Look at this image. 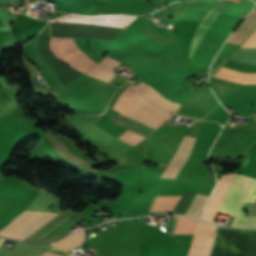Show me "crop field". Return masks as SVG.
Segmentation results:
<instances>
[{
  "mask_svg": "<svg viewBox=\"0 0 256 256\" xmlns=\"http://www.w3.org/2000/svg\"><path fill=\"white\" fill-rule=\"evenodd\" d=\"M235 176L226 174L219 179L201 219L213 223L212 217L217 214ZM255 199L256 179L238 174L219 213L235 216L231 224L233 226L256 228V216L243 217L244 202H254Z\"/></svg>",
  "mask_w": 256,
  "mask_h": 256,
  "instance_id": "8a807250",
  "label": "crop field"
},
{
  "mask_svg": "<svg viewBox=\"0 0 256 256\" xmlns=\"http://www.w3.org/2000/svg\"><path fill=\"white\" fill-rule=\"evenodd\" d=\"M240 21L237 16L210 10L193 37L189 63L208 70L212 58Z\"/></svg>",
  "mask_w": 256,
  "mask_h": 256,
  "instance_id": "ac0d7876",
  "label": "crop field"
},
{
  "mask_svg": "<svg viewBox=\"0 0 256 256\" xmlns=\"http://www.w3.org/2000/svg\"><path fill=\"white\" fill-rule=\"evenodd\" d=\"M137 16L108 15L88 17L83 15H68L51 21L57 24H73L103 27L126 28ZM50 24L52 37H87L95 39L116 40L125 29L103 28L73 25Z\"/></svg>",
  "mask_w": 256,
  "mask_h": 256,
  "instance_id": "34b2d1b8",
  "label": "crop field"
},
{
  "mask_svg": "<svg viewBox=\"0 0 256 256\" xmlns=\"http://www.w3.org/2000/svg\"><path fill=\"white\" fill-rule=\"evenodd\" d=\"M136 96L133 98V100L136 98ZM133 100L131 101V103L133 102ZM130 104L128 105V107L130 106ZM125 115L143 124H146L154 129H156L162 122H164L166 119H168L171 116L170 114L162 112L156 109L155 107L151 106L146 101H144L140 96H138L135 99V101L126 111ZM125 118L126 116L124 115L116 114V115H112L110 120L121 124ZM93 124L99 126L100 128L104 129L105 131L111 133L116 137L127 129L103 117H101L97 122ZM118 138L134 146L135 144L139 143L142 139H144L145 136L137 134L130 130H127L123 134H121Z\"/></svg>",
  "mask_w": 256,
  "mask_h": 256,
  "instance_id": "412701ff",
  "label": "crop field"
},
{
  "mask_svg": "<svg viewBox=\"0 0 256 256\" xmlns=\"http://www.w3.org/2000/svg\"><path fill=\"white\" fill-rule=\"evenodd\" d=\"M49 36L50 30L49 25H47L36 38L34 47L38 57L55 73L60 83L66 89L83 73L67 67L53 57L47 46Z\"/></svg>",
  "mask_w": 256,
  "mask_h": 256,
  "instance_id": "f4fd0767",
  "label": "crop field"
},
{
  "mask_svg": "<svg viewBox=\"0 0 256 256\" xmlns=\"http://www.w3.org/2000/svg\"><path fill=\"white\" fill-rule=\"evenodd\" d=\"M50 49L64 63L84 73L97 65L96 62L80 51L73 38H51Z\"/></svg>",
  "mask_w": 256,
  "mask_h": 256,
  "instance_id": "dd49c442",
  "label": "crop field"
},
{
  "mask_svg": "<svg viewBox=\"0 0 256 256\" xmlns=\"http://www.w3.org/2000/svg\"><path fill=\"white\" fill-rule=\"evenodd\" d=\"M36 214V212L25 211L19 217L16 218L14 222H12L9 226H7L0 234L11 237L15 234L20 228H22L28 221H30ZM57 214H49V213H40L36 216L31 222H29L23 229H21L14 238L25 239L51 218H53Z\"/></svg>",
  "mask_w": 256,
  "mask_h": 256,
  "instance_id": "e52e79f7",
  "label": "crop field"
},
{
  "mask_svg": "<svg viewBox=\"0 0 256 256\" xmlns=\"http://www.w3.org/2000/svg\"><path fill=\"white\" fill-rule=\"evenodd\" d=\"M215 225L198 222L188 256H208L213 242Z\"/></svg>",
  "mask_w": 256,
  "mask_h": 256,
  "instance_id": "d8731c3e",
  "label": "crop field"
},
{
  "mask_svg": "<svg viewBox=\"0 0 256 256\" xmlns=\"http://www.w3.org/2000/svg\"><path fill=\"white\" fill-rule=\"evenodd\" d=\"M184 137V136H183ZM183 139V138H182ZM182 141V140H181ZM195 138L185 136L178 151L174 155L170 163H168L163 175L160 178H175L179 170L188 160L193 148Z\"/></svg>",
  "mask_w": 256,
  "mask_h": 256,
  "instance_id": "5a996713",
  "label": "crop field"
},
{
  "mask_svg": "<svg viewBox=\"0 0 256 256\" xmlns=\"http://www.w3.org/2000/svg\"><path fill=\"white\" fill-rule=\"evenodd\" d=\"M143 83V82H141ZM145 84V83H143ZM148 88H150L153 92H155L157 95H159L160 97H162L163 99L172 102L174 104H177L179 106H181V104L174 102L168 98H166L165 96L161 95L160 93L156 92L153 88H151L149 85L145 84ZM146 86L142 85V84H137L135 87V89L137 90V92L140 94V96L145 99L146 101H148L149 103L163 109L166 111H169L171 113H174L176 111V109L179 107L177 105H174L172 103H169L165 100H163L162 98H160L159 96H157L155 93H153L150 89H148ZM179 109V108H178ZM177 109V110H178Z\"/></svg>",
  "mask_w": 256,
  "mask_h": 256,
  "instance_id": "3316defc",
  "label": "crop field"
},
{
  "mask_svg": "<svg viewBox=\"0 0 256 256\" xmlns=\"http://www.w3.org/2000/svg\"><path fill=\"white\" fill-rule=\"evenodd\" d=\"M255 3L251 0H218L213 10L244 17Z\"/></svg>",
  "mask_w": 256,
  "mask_h": 256,
  "instance_id": "28ad6ade",
  "label": "crop field"
},
{
  "mask_svg": "<svg viewBox=\"0 0 256 256\" xmlns=\"http://www.w3.org/2000/svg\"><path fill=\"white\" fill-rule=\"evenodd\" d=\"M214 77L230 80L240 84H256V74H248L222 67Z\"/></svg>",
  "mask_w": 256,
  "mask_h": 256,
  "instance_id": "d1516ede",
  "label": "crop field"
},
{
  "mask_svg": "<svg viewBox=\"0 0 256 256\" xmlns=\"http://www.w3.org/2000/svg\"><path fill=\"white\" fill-rule=\"evenodd\" d=\"M119 64L120 62L105 56L103 61L95 66L93 69H91L89 72H87V74L109 82L114 76V73L111 71Z\"/></svg>",
  "mask_w": 256,
  "mask_h": 256,
  "instance_id": "22f410ed",
  "label": "crop field"
},
{
  "mask_svg": "<svg viewBox=\"0 0 256 256\" xmlns=\"http://www.w3.org/2000/svg\"><path fill=\"white\" fill-rule=\"evenodd\" d=\"M256 28V8L249 14L242 25L237 29L236 34L231 38L229 43L241 45L243 41L251 34Z\"/></svg>",
  "mask_w": 256,
  "mask_h": 256,
  "instance_id": "cbeb9de0",
  "label": "crop field"
},
{
  "mask_svg": "<svg viewBox=\"0 0 256 256\" xmlns=\"http://www.w3.org/2000/svg\"><path fill=\"white\" fill-rule=\"evenodd\" d=\"M196 222V220L174 216L170 234H193Z\"/></svg>",
  "mask_w": 256,
  "mask_h": 256,
  "instance_id": "5142ce71",
  "label": "crop field"
},
{
  "mask_svg": "<svg viewBox=\"0 0 256 256\" xmlns=\"http://www.w3.org/2000/svg\"><path fill=\"white\" fill-rule=\"evenodd\" d=\"M84 239V232L79 231L69 234L65 238L53 243L55 249H60L63 251H68L82 243Z\"/></svg>",
  "mask_w": 256,
  "mask_h": 256,
  "instance_id": "d9b57169",
  "label": "crop field"
},
{
  "mask_svg": "<svg viewBox=\"0 0 256 256\" xmlns=\"http://www.w3.org/2000/svg\"><path fill=\"white\" fill-rule=\"evenodd\" d=\"M157 197L158 196H156L155 201H156ZM179 198H180V196H159L156 201L155 206H154V203H155V201H154L150 211L152 210L153 206H154V208L152 211H171V209L177 203Z\"/></svg>",
  "mask_w": 256,
  "mask_h": 256,
  "instance_id": "733c2abd",
  "label": "crop field"
},
{
  "mask_svg": "<svg viewBox=\"0 0 256 256\" xmlns=\"http://www.w3.org/2000/svg\"><path fill=\"white\" fill-rule=\"evenodd\" d=\"M206 198L207 196L197 194L196 197L193 199L190 207L188 208L186 215L198 217Z\"/></svg>",
  "mask_w": 256,
  "mask_h": 256,
  "instance_id": "4a817a6b",
  "label": "crop field"
},
{
  "mask_svg": "<svg viewBox=\"0 0 256 256\" xmlns=\"http://www.w3.org/2000/svg\"><path fill=\"white\" fill-rule=\"evenodd\" d=\"M249 47H256V31L242 46V48H249Z\"/></svg>",
  "mask_w": 256,
  "mask_h": 256,
  "instance_id": "bc2a9ffb",
  "label": "crop field"
},
{
  "mask_svg": "<svg viewBox=\"0 0 256 256\" xmlns=\"http://www.w3.org/2000/svg\"><path fill=\"white\" fill-rule=\"evenodd\" d=\"M49 252H52V253H54V254H57V255H61V256H73V255H71V254H67V253H63V252H59V251H55V250H51V251H49ZM48 252V253H49ZM48 253H46V254H48ZM46 254H44V255H42V256H50V255H52V254H50V255H46ZM55 256V255H54Z\"/></svg>",
  "mask_w": 256,
  "mask_h": 256,
  "instance_id": "214f88e0",
  "label": "crop field"
},
{
  "mask_svg": "<svg viewBox=\"0 0 256 256\" xmlns=\"http://www.w3.org/2000/svg\"><path fill=\"white\" fill-rule=\"evenodd\" d=\"M62 15H66V14H63V13H56V14L50 15V20L53 19V18H55V17L62 16Z\"/></svg>",
  "mask_w": 256,
  "mask_h": 256,
  "instance_id": "92a150f3",
  "label": "crop field"
},
{
  "mask_svg": "<svg viewBox=\"0 0 256 256\" xmlns=\"http://www.w3.org/2000/svg\"><path fill=\"white\" fill-rule=\"evenodd\" d=\"M4 241V239L3 238H0V245H1V243Z\"/></svg>",
  "mask_w": 256,
  "mask_h": 256,
  "instance_id": "dafd665d",
  "label": "crop field"
},
{
  "mask_svg": "<svg viewBox=\"0 0 256 256\" xmlns=\"http://www.w3.org/2000/svg\"><path fill=\"white\" fill-rule=\"evenodd\" d=\"M254 1H256V0H254Z\"/></svg>",
  "mask_w": 256,
  "mask_h": 256,
  "instance_id": "00972430",
  "label": "crop field"
},
{
  "mask_svg": "<svg viewBox=\"0 0 256 256\" xmlns=\"http://www.w3.org/2000/svg\"><path fill=\"white\" fill-rule=\"evenodd\" d=\"M17 3V2H16Z\"/></svg>",
  "mask_w": 256,
  "mask_h": 256,
  "instance_id": "a9b5d70f",
  "label": "crop field"
}]
</instances>
